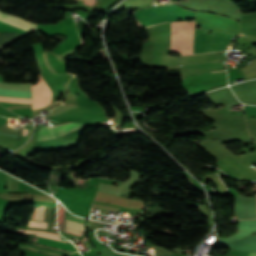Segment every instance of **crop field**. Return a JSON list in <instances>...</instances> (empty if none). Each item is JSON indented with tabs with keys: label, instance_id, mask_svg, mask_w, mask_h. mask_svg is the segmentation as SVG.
<instances>
[{
	"label": "crop field",
	"instance_id": "18",
	"mask_svg": "<svg viewBox=\"0 0 256 256\" xmlns=\"http://www.w3.org/2000/svg\"><path fill=\"white\" fill-rule=\"evenodd\" d=\"M220 72V71H219Z\"/></svg>",
	"mask_w": 256,
	"mask_h": 256
},
{
	"label": "crop field",
	"instance_id": "9",
	"mask_svg": "<svg viewBox=\"0 0 256 256\" xmlns=\"http://www.w3.org/2000/svg\"><path fill=\"white\" fill-rule=\"evenodd\" d=\"M245 170L255 173L256 170L250 169L249 165L255 164L252 160H250L245 154L238 155V156H232Z\"/></svg>",
	"mask_w": 256,
	"mask_h": 256
},
{
	"label": "crop field",
	"instance_id": "8",
	"mask_svg": "<svg viewBox=\"0 0 256 256\" xmlns=\"http://www.w3.org/2000/svg\"><path fill=\"white\" fill-rule=\"evenodd\" d=\"M37 242L42 243V244H46V245H50V246H55V247L71 250V251H75V249L73 248L72 245L57 242V241H53V240H49V239H45V238H41V237H38Z\"/></svg>",
	"mask_w": 256,
	"mask_h": 256
},
{
	"label": "crop field",
	"instance_id": "10",
	"mask_svg": "<svg viewBox=\"0 0 256 256\" xmlns=\"http://www.w3.org/2000/svg\"><path fill=\"white\" fill-rule=\"evenodd\" d=\"M21 232H27V233H33L36 234L38 236H42V237H46V238H50V239H54V240H58V241H62V242H67L65 240L59 239V235L57 234H53V233H47V232H32V231H24V230H18ZM69 243V242H67Z\"/></svg>",
	"mask_w": 256,
	"mask_h": 256
},
{
	"label": "crop field",
	"instance_id": "1",
	"mask_svg": "<svg viewBox=\"0 0 256 256\" xmlns=\"http://www.w3.org/2000/svg\"><path fill=\"white\" fill-rule=\"evenodd\" d=\"M172 40L170 49H174L186 55H193L194 22H173ZM195 29L194 54L209 53L213 51H224L231 34H223ZM227 56V55H226Z\"/></svg>",
	"mask_w": 256,
	"mask_h": 256
},
{
	"label": "crop field",
	"instance_id": "16",
	"mask_svg": "<svg viewBox=\"0 0 256 256\" xmlns=\"http://www.w3.org/2000/svg\"><path fill=\"white\" fill-rule=\"evenodd\" d=\"M67 232V231H66ZM70 233V232H69ZM73 234V233H72ZM74 235H76V236H78V237H80V235H77V234H74Z\"/></svg>",
	"mask_w": 256,
	"mask_h": 256
},
{
	"label": "crop field",
	"instance_id": "17",
	"mask_svg": "<svg viewBox=\"0 0 256 256\" xmlns=\"http://www.w3.org/2000/svg\"><path fill=\"white\" fill-rule=\"evenodd\" d=\"M1 107V106H0ZM3 108V107H2Z\"/></svg>",
	"mask_w": 256,
	"mask_h": 256
},
{
	"label": "crop field",
	"instance_id": "13",
	"mask_svg": "<svg viewBox=\"0 0 256 256\" xmlns=\"http://www.w3.org/2000/svg\"><path fill=\"white\" fill-rule=\"evenodd\" d=\"M46 226H47V223H45V222H31L30 221L28 227L46 229Z\"/></svg>",
	"mask_w": 256,
	"mask_h": 256
},
{
	"label": "crop field",
	"instance_id": "14",
	"mask_svg": "<svg viewBox=\"0 0 256 256\" xmlns=\"http://www.w3.org/2000/svg\"><path fill=\"white\" fill-rule=\"evenodd\" d=\"M95 0H85L84 4L93 5Z\"/></svg>",
	"mask_w": 256,
	"mask_h": 256
},
{
	"label": "crop field",
	"instance_id": "2",
	"mask_svg": "<svg viewBox=\"0 0 256 256\" xmlns=\"http://www.w3.org/2000/svg\"><path fill=\"white\" fill-rule=\"evenodd\" d=\"M82 128L85 127L73 123L51 129H49V126L42 127L38 134L37 142ZM82 130H78L72 133H68L62 136L38 142L35 151L53 150L76 146L77 141L79 139V134L82 132Z\"/></svg>",
	"mask_w": 256,
	"mask_h": 256
},
{
	"label": "crop field",
	"instance_id": "11",
	"mask_svg": "<svg viewBox=\"0 0 256 256\" xmlns=\"http://www.w3.org/2000/svg\"><path fill=\"white\" fill-rule=\"evenodd\" d=\"M246 119H256V106H248L244 108Z\"/></svg>",
	"mask_w": 256,
	"mask_h": 256
},
{
	"label": "crop field",
	"instance_id": "12",
	"mask_svg": "<svg viewBox=\"0 0 256 256\" xmlns=\"http://www.w3.org/2000/svg\"><path fill=\"white\" fill-rule=\"evenodd\" d=\"M45 207L36 208L33 213V220L44 221Z\"/></svg>",
	"mask_w": 256,
	"mask_h": 256
},
{
	"label": "crop field",
	"instance_id": "15",
	"mask_svg": "<svg viewBox=\"0 0 256 256\" xmlns=\"http://www.w3.org/2000/svg\"><path fill=\"white\" fill-rule=\"evenodd\" d=\"M246 256H256V252H248Z\"/></svg>",
	"mask_w": 256,
	"mask_h": 256
},
{
	"label": "crop field",
	"instance_id": "5",
	"mask_svg": "<svg viewBox=\"0 0 256 256\" xmlns=\"http://www.w3.org/2000/svg\"><path fill=\"white\" fill-rule=\"evenodd\" d=\"M138 178H139V173L131 171V177L127 181L120 184L119 187L100 184L99 190L121 196L123 193L126 194L133 187V185L137 182Z\"/></svg>",
	"mask_w": 256,
	"mask_h": 256
},
{
	"label": "crop field",
	"instance_id": "3",
	"mask_svg": "<svg viewBox=\"0 0 256 256\" xmlns=\"http://www.w3.org/2000/svg\"><path fill=\"white\" fill-rule=\"evenodd\" d=\"M135 15L137 19L142 23L143 27H145L165 21L170 22L174 20L195 18L196 13L189 10H185L177 5H170L153 7L147 10L142 9L137 11Z\"/></svg>",
	"mask_w": 256,
	"mask_h": 256
},
{
	"label": "crop field",
	"instance_id": "6",
	"mask_svg": "<svg viewBox=\"0 0 256 256\" xmlns=\"http://www.w3.org/2000/svg\"><path fill=\"white\" fill-rule=\"evenodd\" d=\"M80 45L81 42L76 29H71L70 38L65 41L61 46H59L54 53L67 56L70 52H72L76 47Z\"/></svg>",
	"mask_w": 256,
	"mask_h": 256
},
{
	"label": "crop field",
	"instance_id": "7",
	"mask_svg": "<svg viewBox=\"0 0 256 256\" xmlns=\"http://www.w3.org/2000/svg\"><path fill=\"white\" fill-rule=\"evenodd\" d=\"M0 89L31 91L30 84L0 83ZM0 100L32 103L31 99L0 97Z\"/></svg>",
	"mask_w": 256,
	"mask_h": 256
},
{
	"label": "crop field",
	"instance_id": "4",
	"mask_svg": "<svg viewBox=\"0 0 256 256\" xmlns=\"http://www.w3.org/2000/svg\"><path fill=\"white\" fill-rule=\"evenodd\" d=\"M0 20L10 23V24H13L18 27H21L23 29L30 30V31H34L35 27H36L35 24L28 23L24 20L18 19L12 15L4 14L2 12H0ZM2 21H0V33H2V32H17V33H23V34L30 33V31L23 30L21 28L12 26V25L4 23Z\"/></svg>",
	"mask_w": 256,
	"mask_h": 256
}]
</instances>
